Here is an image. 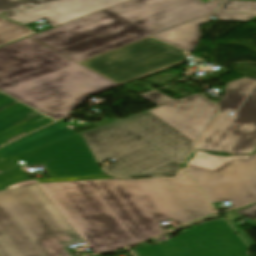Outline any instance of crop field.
I'll return each mask as SVG.
<instances>
[{"label": "crop field", "mask_w": 256, "mask_h": 256, "mask_svg": "<svg viewBox=\"0 0 256 256\" xmlns=\"http://www.w3.org/2000/svg\"><path fill=\"white\" fill-rule=\"evenodd\" d=\"M95 253L216 214L182 169L174 177L41 184ZM140 242V241H139Z\"/></svg>", "instance_id": "1"}, {"label": "crop field", "mask_w": 256, "mask_h": 256, "mask_svg": "<svg viewBox=\"0 0 256 256\" xmlns=\"http://www.w3.org/2000/svg\"><path fill=\"white\" fill-rule=\"evenodd\" d=\"M198 0H129L30 38L79 62L210 14Z\"/></svg>", "instance_id": "2"}, {"label": "crop field", "mask_w": 256, "mask_h": 256, "mask_svg": "<svg viewBox=\"0 0 256 256\" xmlns=\"http://www.w3.org/2000/svg\"><path fill=\"white\" fill-rule=\"evenodd\" d=\"M70 225L38 184L0 191V256H72Z\"/></svg>", "instance_id": "3"}, {"label": "crop field", "mask_w": 256, "mask_h": 256, "mask_svg": "<svg viewBox=\"0 0 256 256\" xmlns=\"http://www.w3.org/2000/svg\"><path fill=\"white\" fill-rule=\"evenodd\" d=\"M97 164L155 145L184 163L194 150L191 140L146 110L125 119L81 133Z\"/></svg>", "instance_id": "4"}, {"label": "crop field", "mask_w": 256, "mask_h": 256, "mask_svg": "<svg viewBox=\"0 0 256 256\" xmlns=\"http://www.w3.org/2000/svg\"><path fill=\"white\" fill-rule=\"evenodd\" d=\"M114 86L76 63L2 91L58 120L88 96Z\"/></svg>", "instance_id": "5"}, {"label": "crop field", "mask_w": 256, "mask_h": 256, "mask_svg": "<svg viewBox=\"0 0 256 256\" xmlns=\"http://www.w3.org/2000/svg\"><path fill=\"white\" fill-rule=\"evenodd\" d=\"M214 123L196 143L197 150L237 155L256 146V79L227 83ZM229 111H236L233 116Z\"/></svg>", "instance_id": "6"}, {"label": "crop field", "mask_w": 256, "mask_h": 256, "mask_svg": "<svg viewBox=\"0 0 256 256\" xmlns=\"http://www.w3.org/2000/svg\"><path fill=\"white\" fill-rule=\"evenodd\" d=\"M187 53L148 36L79 63L120 85L189 60Z\"/></svg>", "instance_id": "7"}, {"label": "crop field", "mask_w": 256, "mask_h": 256, "mask_svg": "<svg viewBox=\"0 0 256 256\" xmlns=\"http://www.w3.org/2000/svg\"><path fill=\"white\" fill-rule=\"evenodd\" d=\"M43 163L51 177L101 173L80 134L0 161V189L29 178L20 167Z\"/></svg>", "instance_id": "8"}, {"label": "crop field", "mask_w": 256, "mask_h": 256, "mask_svg": "<svg viewBox=\"0 0 256 256\" xmlns=\"http://www.w3.org/2000/svg\"><path fill=\"white\" fill-rule=\"evenodd\" d=\"M248 250L224 220L196 226L166 244L132 250L134 256H241Z\"/></svg>", "instance_id": "9"}, {"label": "crop field", "mask_w": 256, "mask_h": 256, "mask_svg": "<svg viewBox=\"0 0 256 256\" xmlns=\"http://www.w3.org/2000/svg\"><path fill=\"white\" fill-rule=\"evenodd\" d=\"M187 172L211 203L232 200L235 207L256 199V154L213 171L188 165Z\"/></svg>", "instance_id": "10"}, {"label": "crop field", "mask_w": 256, "mask_h": 256, "mask_svg": "<svg viewBox=\"0 0 256 256\" xmlns=\"http://www.w3.org/2000/svg\"><path fill=\"white\" fill-rule=\"evenodd\" d=\"M76 63L52 49L24 38L0 47V90Z\"/></svg>", "instance_id": "11"}, {"label": "crop field", "mask_w": 256, "mask_h": 256, "mask_svg": "<svg viewBox=\"0 0 256 256\" xmlns=\"http://www.w3.org/2000/svg\"><path fill=\"white\" fill-rule=\"evenodd\" d=\"M149 110L195 142L211 123L216 106L194 94Z\"/></svg>", "instance_id": "12"}, {"label": "crop field", "mask_w": 256, "mask_h": 256, "mask_svg": "<svg viewBox=\"0 0 256 256\" xmlns=\"http://www.w3.org/2000/svg\"><path fill=\"white\" fill-rule=\"evenodd\" d=\"M180 166L154 146L130 155L101 170L116 178L172 176Z\"/></svg>", "instance_id": "13"}, {"label": "crop field", "mask_w": 256, "mask_h": 256, "mask_svg": "<svg viewBox=\"0 0 256 256\" xmlns=\"http://www.w3.org/2000/svg\"><path fill=\"white\" fill-rule=\"evenodd\" d=\"M52 121L0 92V145Z\"/></svg>", "instance_id": "14"}, {"label": "crop field", "mask_w": 256, "mask_h": 256, "mask_svg": "<svg viewBox=\"0 0 256 256\" xmlns=\"http://www.w3.org/2000/svg\"><path fill=\"white\" fill-rule=\"evenodd\" d=\"M123 1L126 0H65L12 20L27 25L43 18L56 27Z\"/></svg>", "instance_id": "15"}, {"label": "crop field", "mask_w": 256, "mask_h": 256, "mask_svg": "<svg viewBox=\"0 0 256 256\" xmlns=\"http://www.w3.org/2000/svg\"><path fill=\"white\" fill-rule=\"evenodd\" d=\"M74 134L64 123L58 121L13 142L17 146L0 151V158L4 159Z\"/></svg>", "instance_id": "16"}, {"label": "crop field", "mask_w": 256, "mask_h": 256, "mask_svg": "<svg viewBox=\"0 0 256 256\" xmlns=\"http://www.w3.org/2000/svg\"><path fill=\"white\" fill-rule=\"evenodd\" d=\"M208 16L209 15L178 25L151 36L171 43L174 47H179L185 51L192 52L199 37H201L199 25L210 21L207 18Z\"/></svg>", "instance_id": "17"}, {"label": "crop field", "mask_w": 256, "mask_h": 256, "mask_svg": "<svg viewBox=\"0 0 256 256\" xmlns=\"http://www.w3.org/2000/svg\"><path fill=\"white\" fill-rule=\"evenodd\" d=\"M59 1L62 0H0V13L5 11L7 14L2 16L12 19Z\"/></svg>", "instance_id": "18"}, {"label": "crop field", "mask_w": 256, "mask_h": 256, "mask_svg": "<svg viewBox=\"0 0 256 256\" xmlns=\"http://www.w3.org/2000/svg\"><path fill=\"white\" fill-rule=\"evenodd\" d=\"M35 33L31 29L0 17V46Z\"/></svg>", "instance_id": "19"}, {"label": "crop field", "mask_w": 256, "mask_h": 256, "mask_svg": "<svg viewBox=\"0 0 256 256\" xmlns=\"http://www.w3.org/2000/svg\"><path fill=\"white\" fill-rule=\"evenodd\" d=\"M240 158H248V156L218 157L206 152H197L196 157L189 164L213 170L231 159Z\"/></svg>", "instance_id": "20"}, {"label": "crop field", "mask_w": 256, "mask_h": 256, "mask_svg": "<svg viewBox=\"0 0 256 256\" xmlns=\"http://www.w3.org/2000/svg\"><path fill=\"white\" fill-rule=\"evenodd\" d=\"M215 11L234 13H256V2L221 0Z\"/></svg>", "instance_id": "21"}, {"label": "crop field", "mask_w": 256, "mask_h": 256, "mask_svg": "<svg viewBox=\"0 0 256 256\" xmlns=\"http://www.w3.org/2000/svg\"><path fill=\"white\" fill-rule=\"evenodd\" d=\"M219 20L246 22L256 14L214 13Z\"/></svg>", "instance_id": "22"}, {"label": "crop field", "mask_w": 256, "mask_h": 256, "mask_svg": "<svg viewBox=\"0 0 256 256\" xmlns=\"http://www.w3.org/2000/svg\"><path fill=\"white\" fill-rule=\"evenodd\" d=\"M112 178L107 175H96V176H87V177H77V178H63V179H45L37 180L39 183H48V182H66V181H81V180H95V179H108Z\"/></svg>", "instance_id": "23"}, {"label": "crop field", "mask_w": 256, "mask_h": 256, "mask_svg": "<svg viewBox=\"0 0 256 256\" xmlns=\"http://www.w3.org/2000/svg\"><path fill=\"white\" fill-rule=\"evenodd\" d=\"M142 97L146 98L147 100L151 101L152 103L158 106L174 101L173 99L163 95L160 92H154L151 94L143 95Z\"/></svg>", "instance_id": "24"}, {"label": "crop field", "mask_w": 256, "mask_h": 256, "mask_svg": "<svg viewBox=\"0 0 256 256\" xmlns=\"http://www.w3.org/2000/svg\"><path fill=\"white\" fill-rule=\"evenodd\" d=\"M251 220L256 221V204L251 205L243 210L235 211Z\"/></svg>", "instance_id": "25"}, {"label": "crop field", "mask_w": 256, "mask_h": 256, "mask_svg": "<svg viewBox=\"0 0 256 256\" xmlns=\"http://www.w3.org/2000/svg\"><path fill=\"white\" fill-rule=\"evenodd\" d=\"M12 146H15V145L11 143V144H9L7 146H4V147L0 148V150L6 149V148H9V147H12Z\"/></svg>", "instance_id": "26"}, {"label": "crop field", "mask_w": 256, "mask_h": 256, "mask_svg": "<svg viewBox=\"0 0 256 256\" xmlns=\"http://www.w3.org/2000/svg\"><path fill=\"white\" fill-rule=\"evenodd\" d=\"M242 256H247V251L241 252Z\"/></svg>", "instance_id": "27"}, {"label": "crop field", "mask_w": 256, "mask_h": 256, "mask_svg": "<svg viewBox=\"0 0 256 256\" xmlns=\"http://www.w3.org/2000/svg\"><path fill=\"white\" fill-rule=\"evenodd\" d=\"M251 21H256V17H255V18H253V19H251Z\"/></svg>", "instance_id": "28"}, {"label": "crop field", "mask_w": 256, "mask_h": 256, "mask_svg": "<svg viewBox=\"0 0 256 256\" xmlns=\"http://www.w3.org/2000/svg\"><path fill=\"white\" fill-rule=\"evenodd\" d=\"M252 152H256V147H255V149Z\"/></svg>", "instance_id": "29"}, {"label": "crop field", "mask_w": 256, "mask_h": 256, "mask_svg": "<svg viewBox=\"0 0 256 256\" xmlns=\"http://www.w3.org/2000/svg\"><path fill=\"white\" fill-rule=\"evenodd\" d=\"M254 1H256V0H254Z\"/></svg>", "instance_id": "30"}, {"label": "crop field", "mask_w": 256, "mask_h": 256, "mask_svg": "<svg viewBox=\"0 0 256 256\" xmlns=\"http://www.w3.org/2000/svg\"><path fill=\"white\" fill-rule=\"evenodd\" d=\"M1 160V159H0Z\"/></svg>", "instance_id": "31"}]
</instances>
